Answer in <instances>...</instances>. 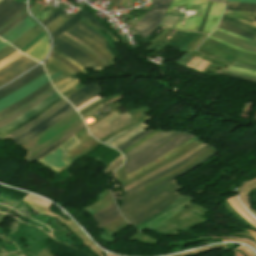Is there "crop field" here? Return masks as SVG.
Returning a JSON list of instances; mask_svg holds the SVG:
<instances>
[{"label":"crop field","instance_id":"19","mask_svg":"<svg viewBox=\"0 0 256 256\" xmlns=\"http://www.w3.org/2000/svg\"><path fill=\"white\" fill-rule=\"evenodd\" d=\"M224 5L211 3L207 18L204 23L203 33L210 34L217 26Z\"/></svg>","mask_w":256,"mask_h":256},{"label":"crop field","instance_id":"2","mask_svg":"<svg viewBox=\"0 0 256 256\" xmlns=\"http://www.w3.org/2000/svg\"><path fill=\"white\" fill-rule=\"evenodd\" d=\"M208 0H173L167 13L182 15L176 29L197 32L207 5Z\"/></svg>","mask_w":256,"mask_h":256},{"label":"crop field","instance_id":"3","mask_svg":"<svg viewBox=\"0 0 256 256\" xmlns=\"http://www.w3.org/2000/svg\"><path fill=\"white\" fill-rule=\"evenodd\" d=\"M211 146L207 145L204 148L200 149L199 151H197L196 153H194L193 155L189 156L188 158L184 159L183 161L179 162L178 164L168 168L167 170L137 184L136 186H134L133 188H131L130 190L125 192V198L123 199L122 205L120 207H118V209L121 211L131 207L132 205L136 204L137 202H139L140 200H142L143 198H145L146 196H148L149 194H151L153 191H155L156 189H158L159 187H161L162 185H164L165 183H167L168 181L183 175L189 171H191L192 169H194L195 167H197L198 165H200L201 163H203L204 161H206L207 159H209L210 157H212L214 154H216L219 151H214L211 154H209L208 156H206L205 158H203L201 161H199L198 163H196L195 165L187 168L186 170L182 171L181 173L173 176L172 178L154 186L153 188L149 189L147 192H145L143 195H139L137 193L136 190L140 189L141 187L145 186L146 184L166 175L167 173L185 165L186 163H188L190 160H192L193 158H195L196 156H198L200 153H202L203 151L207 150L208 148H210Z\"/></svg>","mask_w":256,"mask_h":256},{"label":"crop field","instance_id":"18","mask_svg":"<svg viewBox=\"0 0 256 256\" xmlns=\"http://www.w3.org/2000/svg\"><path fill=\"white\" fill-rule=\"evenodd\" d=\"M35 25L36 24L27 17L0 37L11 44Z\"/></svg>","mask_w":256,"mask_h":256},{"label":"crop field","instance_id":"5","mask_svg":"<svg viewBox=\"0 0 256 256\" xmlns=\"http://www.w3.org/2000/svg\"><path fill=\"white\" fill-rule=\"evenodd\" d=\"M66 32L78 40L86 43L98 54H100L108 63L114 65L112 61L115 57L105 48V39L99 33L85 25L83 22H78Z\"/></svg>","mask_w":256,"mask_h":256},{"label":"crop field","instance_id":"16","mask_svg":"<svg viewBox=\"0 0 256 256\" xmlns=\"http://www.w3.org/2000/svg\"><path fill=\"white\" fill-rule=\"evenodd\" d=\"M55 92L56 91L52 87L49 90H47L45 93L41 94L40 96L36 97L32 101L28 102L24 106L20 107L16 111H14L10 115L0 119V127L6 125V124L10 123L11 121H13L14 119L18 118L19 116H21L22 114H24L25 112H27L28 110H30L31 108H33L34 106H36L37 104H39L40 102H42L43 100H45L46 98H48L50 95H52Z\"/></svg>","mask_w":256,"mask_h":256},{"label":"crop field","instance_id":"33","mask_svg":"<svg viewBox=\"0 0 256 256\" xmlns=\"http://www.w3.org/2000/svg\"><path fill=\"white\" fill-rule=\"evenodd\" d=\"M58 38L62 39L63 41L75 46L77 49L83 51L86 55H88L96 64H98L102 69L106 68L97 58H95L91 53H89L88 51H86L85 49H83L82 47H80L79 45L75 44L74 42H72L71 40L63 37V36H59Z\"/></svg>","mask_w":256,"mask_h":256},{"label":"crop field","instance_id":"34","mask_svg":"<svg viewBox=\"0 0 256 256\" xmlns=\"http://www.w3.org/2000/svg\"><path fill=\"white\" fill-rule=\"evenodd\" d=\"M221 20H223V21H226V22H228V23H230V24H233V25H235V26H238V27H240V28H243V29H246V30H249V31H252V32H255L256 33V28H254V27H252V26H249V25H247V24H244V23H241V22H239V21H236V20H233V19H231V18H228V17H226V16H222V19Z\"/></svg>","mask_w":256,"mask_h":256},{"label":"crop field","instance_id":"30","mask_svg":"<svg viewBox=\"0 0 256 256\" xmlns=\"http://www.w3.org/2000/svg\"><path fill=\"white\" fill-rule=\"evenodd\" d=\"M224 15L231 16V17H233L235 19H238V20H240L242 22H245V23H247L249 25H252V26L256 27V19L245 17V15L255 16L256 17V14L240 12V11H225Z\"/></svg>","mask_w":256,"mask_h":256},{"label":"crop field","instance_id":"10","mask_svg":"<svg viewBox=\"0 0 256 256\" xmlns=\"http://www.w3.org/2000/svg\"><path fill=\"white\" fill-rule=\"evenodd\" d=\"M53 48L57 49L58 51L62 52L63 54L71 57L76 62H78L85 70L91 69L94 72L101 70L99 66H97L92 60L86 57L83 53L79 50L75 49L74 47L70 46L69 44L59 40L58 38L53 41Z\"/></svg>","mask_w":256,"mask_h":256},{"label":"crop field","instance_id":"8","mask_svg":"<svg viewBox=\"0 0 256 256\" xmlns=\"http://www.w3.org/2000/svg\"><path fill=\"white\" fill-rule=\"evenodd\" d=\"M45 69H46V72L49 76L58 72V71H61V72L65 73L69 76H72V75L76 74L68 66L64 65L63 63H61L60 61H58L57 59H55L51 56L49 57V60L45 64ZM79 82H81V81L68 77V78L54 84V86L59 91V93L61 94L65 91L71 89L72 87H74Z\"/></svg>","mask_w":256,"mask_h":256},{"label":"crop field","instance_id":"23","mask_svg":"<svg viewBox=\"0 0 256 256\" xmlns=\"http://www.w3.org/2000/svg\"><path fill=\"white\" fill-rule=\"evenodd\" d=\"M48 49H49V43H48L47 37H45L24 54L41 62L45 58L48 52Z\"/></svg>","mask_w":256,"mask_h":256},{"label":"crop field","instance_id":"41","mask_svg":"<svg viewBox=\"0 0 256 256\" xmlns=\"http://www.w3.org/2000/svg\"><path fill=\"white\" fill-rule=\"evenodd\" d=\"M83 128H85V126L82 127V128H80V129H78L77 131H75L74 133H72L70 136H68L67 138H65L64 140H62L61 142H59V143L55 144L54 146L50 147V148L47 149L45 152H43L42 154H40L39 156H37L35 159H33L31 162H33V161L37 160L38 158H40L41 156L47 154V153H48L49 151H51L53 148H55L56 146H58L59 144H61V143L64 142L66 139H68L69 137H71L72 135H74L75 133H77L78 131H80V130L83 129Z\"/></svg>","mask_w":256,"mask_h":256},{"label":"crop field","instance_id":"25","mask_svg":"<svg viewBox=\"0 0 256 256\" xmlns=\"http://www.w3.org/2000/svg\"><path fill=\"white\" fill-rule=\"evenodd\" d=\"M66 103H68L65 99L63 101H61L59 104H57L55 107H53L51 110H49L48 112H46L44 115H42L41 117H39L38 119H36L35 121H33L32 123L28 124L27 126L21 128L20 130L0 139H6L8 137H10L11 139L14 138L15 136H17L18 134H20L21 132H23L24 130L38 124L39 122H41L42 120H44L45 118H47L48 116H50L52 113H54L56 110H58L60 107H62L63 105H65Z\"/></svg>","mask_w":256,"mask_h":256},{"label":"crop field","instance_id":"31","mask_svg":"<svg viewBox=\"0 0 256 256\" xmlns=\"http://www.w3.org/2000/svg\"><path fill=\"white\" fill-rule=\"evenodd\" d=\"M225 10H241L256 13V4L227 2Z\"/></svg>","mask_w":256,"mask_h":256},{"label":"crop field","instance_id":"1","mask_svg":"<svg viewBox=\"0 0 256 256\" xmlns=\"http://www.w3.org/2000/svg\"><path fill=\"white\" fill-rule=\"evenodd\" d=\"M182 188L183 187L177 185L175 180H173L121 213L125 216L128 222L135 226L164 210L172 202L178 199L181 195L177 194L174 196L173 194Z\"/></svg>","mask_w":256,"mask_h":256},{"label":"crop field","instance_id":"17","mask_svg":"<svg viewBox=\"0 0 256 256\" xmlns=\"http://www.w3.org/2000/svg\"><path fill=\"white\" fill-rule=\"evenodd\" d=\"M86 18L89 21H91L92 23H94L95 25H97L99 28H101L102 30H104L107 34L108 31L105 27H103L92 15H90L89 13H87L85 10H81L79 11L75 16H73L70 20H68L65 24H63L59 29H57L54 33L51 34L52 36V40L54 38H56L57 36H59L61 33H63L65 30H67L69 27H71L75 22H77L80 18ZM110 35V34H109ZM115 41H118L115 37H113L112 35H110Z\"/></svg>","mask_w":256,"mask_h":256},{"label":"crop field","instance_id":"42","mask_svg":"<svg viewBox=\"0 0 256 256\" xmlns=\"http://www.w3.org/2000/svg\"><path fill=\"white\" fill-rule=\"evenodd\" d=\"M17 50H15L13 47L9 46L3 50L0 51V61L2 59H4L5 57L9 56L10 54H12L13 52H15Z\"/></svg>","mask_w":256,"mask_h":256},{"label":"crop field","instance_id":"36","mask_svg":"<svg viewBox=\"0 0 256 256\" xmlns=\"http://www.w3.org/2000/svg\"><path fill=\"white\" fill-rule=\"evenodd\" d=\"M151 131H153V130H148L147 132H145V131H143V132H141L140 134H138L137 136H135V137H133L132 139H130L129 141H127L126 143H124L123 145H121V146H119L118 148H116V149H118V150H123V149H125L126 147H128L129 145H131V144H133V143H135L136 141H138V140H140L141 138H143L144 136H146L148 133H150Z\"/></svg>","mask_w":256,"mask_h":256},{"label":"crop field","instance_id":"9","mask_svg":"<svg viewBox=\"0 0 256 256\" xmlns=\"http://www.w3.org/2000/svg\"><path fill=\"white\" fill-rule=\"evenodd\" d=\"M36 64L37 62L27 58L24 55L19 57L15 61L0 69V86L16 78Z\"/></svg>","mask_w":256,"mask_h":256},{"label":"crop field","instance_id":"14","mask_svg":"<svg viewBox=\"0 0 256 256\" xmlns=\"http://www.w3.org/2000/svg\"><path fill=\"white\" fill-rule=\"evenodd\" d=\"M101 89L102 88L100 85L94 83L77 90L76 92L70 94L65 98H67L76 108L81 104L87 102L88 100L92 99L96 95L102 94L103 92Z\"/></svg>","mask_w":256,"mask_h":256},{"label":"crop field","instance_id":"22","mask_svg":"<svg viewBox=\"0 0 256 256\" xmlns=\"http://www.w3.org/2000/svg\"><path fill=\"white\" fill-rule=\"evenodd\" d=\"M51 87L50 82L46 83L45 85H43L42 87L38 88L37 90H35L34 92H32L31 94H29L27 97H25L24 99L12 104L11 106L3 109L2 111H0V118L10 114L11 112H13L14 110H16L17 108H19L20 106H22L23 104L27 103L28 101L32 100L33 98H35L36 96L40 95L41 93L45 92L47 89H49ZM24 106V105H23Z\"/></svg>","mask_w":256,"mask_h":256},{"label":"crop field","instance_id":"20","mask_svg":"<svg viewBox=\"0 0 256 256\" xmlns=\"http://www.w3.org/2000/svg\"><path fill=\"white\" fill-rule=\"evenodd\" d=\"M25 8L24 2L21 4L14 3L11 0H4L0 3V25L18 14Z\"/></svg>","mask_w":256,"mask_h":256},{"label":"crop field","instance_id":"51","mask_svg":"<svg viewBox=\"0 0 256 256\" xmlns=\"http://www.w3.org/2000/svg\"><path fill=\"white\" fill-rule=\"evenodd\" d=\"M25 10H23L22 12H20L18 15H16L15 17H13L12 19H10L9 21H7L5 24H3L2 26H0V30L2 28H4L6 25H8L10 22H12L14 19H16L18 16H20Z\"/></svg>","mask_w":256,"mask_h":256},{"label":"crop field","instance_id":"59","mask_svg":"<svg viewBox=\"0 0 256 256\" xmlns=\"http://www.w3.org/2000/svg\"><path fill=\"white\" fill-rule=\"evenodd\" d=\"M116 2H117V3H119V2H120V0H117Z\"/></svg>","mask_w":256,"mask_h":256},{"label":"crop field","instance_id":"11","mask_svg":"<svg viewBox=\"0 0 256 256\" xmlns=\"http://www.w3.org/2000/svg\"><path fill=\"white\" fill-rule=\"evenodd\" d=\"M47 81H49V79L47 78L46 74L44 73L41 76H39L38 78H36L34 81L29 83L28 85L13 92L12 94L0 99V110L11 105L12 103L24 98L29 93H31L32 91H34L35 89H37L38 87H40L41 85L46 83Z\"/></svg>","mask_w":256,"mask_h":256},{"label":"crop field","instance_id":"49","mask_svg":"<svg viewBox=\"0 0 256 256\" xmlns=\"http://www.w3.org/2000/svg\"><path fill=\"white\" fill-rule=\"evenodd\" d=\"M42 73H44V71H42V72L38 73L36 76H34V77H33V78H31L30 80H28L26 83H24V84H23V85H21L20 87H18V88H16V89H14V90H12V91H10V92H8V93L4 94V95H3V96H1L0 98H2V97H4V96H6V95H8V94L12 93L13 91H15V90H17V89L21 88V87H22V86H24L25 84L29 83L30 81H32L33 79H35L36 77H38L39 75H41Z\"/></svg>","mask_w":256,"mask_h":256},{"label":"crop field","instance_id":"40","mask_svg":"<svg viewBox=\"0 0 256 256\" xmlns=\"http://www.w3.org/2000/svg\"><path fill=\"white\" fill-rule=\"evenodd\" d=\"M25 17H27L26 13L22 14L20 17H18L16 20H14L12 23H10L8 26H6L4 29L0 31V35H2L4 32L12 28L14 25L19 23L21 20H23Z\"/></svg>","mask_w":256,"mask_h":256},{"label":"crop field","instance_id":"54","mask_svg":"<svg viewBox=\"0 0 256 256\" xmlns=\"http://www.w3.org/2000/svg\"><path fill=\"white\" fill-rule=\"evenodd\" d=\"M9 45H7L5 42H3L1 39H0V50L7 47Z\"/></svg>","mask_w":256,"mask_h":256},{"label":"crop field","instance_id":"47","mask_svg":"<svg viewBox=\"0 0 256 256\" xmlns=\"http://www.w3.org/2000/svg\"><path fill=\"white\" fill-rule=\"evenodd\" d=\"M52 50L55 51V52H57V53H59V54H60L59 56L63 57L64 59H66V60H68V61H70L71 63L75 64V65H76L81 71H83L84 73H87V72H85V70H84L78 63H76V62H75L74 60H72L71 58H69V57L63 55L62 53H60V52H58V51H56V50H54V49H52Z\"/></svg>","mask_w":256,"mask_h":256},{"label":"crop field","instance_id":"55","mask_svg":"<svg viewBox=\"0 0 256 256\" xmlns=\"http://www.w3.org/2000/svg\"><path fill=\"white\" fill-rule=\"evenodd\" d=\"M233 65H237V66H241V67H245V68H249V69H254V70H256L255 67L245 66V65H241V64H237V63H233Z\"/></svg>","mask_w":256,"mask_h":256},{"label":"crop field","instance_id":"38","mask_svg":"<svg viewBox=\"0 0 256 256\" xmlns=\"http://www.w3.org/2000/svg\"><path fill=\"white\" fill-rule=\"evenodd\" d=\"M162 129L157 128L155 129L153 132H151L149 135H147L146 137H144L143 139H141L140 141H138L137 143L131 145L130 147H128L127 149L121 151L123 154L128 152L129 150L135 148L136 146H138L139 144L143 143L144 141H146L147 139H149L150 137H152L153 135L157 134L158 132H160Z\"/></svg>","mask_w":256,"mask_h":256},{"label":"crop field","instance_id":"7","mask_svg":"<svg viewBox=\"0 0 256 256\" xmlns=\"http://www.w3.org/2000/svg\"><path fill=\"white\" fill-rule=\"evenodd\" d=\"M75 111L72 106L68 103L62 108H60L58 111H56L54 114H52L50 117L39 123L38 125L34 126L33 128L29 129L28 131L22 133L21 135L17 136L16 138L12 139L16 143V145L20 146L27 142L28 140L32 139L42 131L46 130L68 114Z\"/></svg>","mask_w":256,"mask_h":256},{"label":"crop field","instance_id":"52","mask_svg":"<svg viewBox=\"0 0 256 256\" xmlns=\"http://www.w3.org/2000/svg\"><path fill=\"white\" fill-rule=\"evenodd\" d=\"M228 68H229V69L238 70V71H243V72H248V73L256 74V72H255V71L244 70V69L235 68V67H231V66H229Z\"/></svg>","mask_w":256,"mask_h":256},{"label":"crop field","instance_id":"15","mask_svg":"<svg viewBox=\"0 0 256 256\" xmlns=\"http://www.w3.org/2000/svg\"><path fill=\"white\" fill-rule=\"evenodd\" d=\"M151 118L152 117H150V116L144 118L142 122L137 123L136 125L128 128L127 130L117 134L116 136L110 138L109 140H107L103 143L110 145L114 148L118 147L119 145L126 142L127 140H129L130 138L135 136L136 134L143 131L146 127H148L144 122Z\"/></svg>","mask_w":256,"mask_h":256},{"label":"crop field","instance_id":"6","mask_svg":"<svg viewBox=\"0 0 256 256\" xmlns=\"http://www.w3.org/2000/svg\"><path fill=\"white\" fill-rule=\"evenodd\" d=\"M172 0H153V8L147 12L140 23L134 28L140 36L146 35L150 30L151 32L145 37L153 33L158 27L164 13L166 12Z\"/></svg>","mask_w":256,"mask_h":256},{"label":"crop field","instance_id":"21","mask_svg":"<svg viewBox=\"0 0 256 256\" xmlns=\"http://www.w3.org/2000/svg\"><path fill=\"white\" fill-rule=\"evenodd\" d=\"M92 216L97 221L98 225H96L95 227L99 230L103 226L110 223L111 221H113L114 219L118 218L121 215L117 211L115 204H112V205L100 210L99 212L95 213Z\"/></svg>","mask_w":256,"mask_h":256},{"label":"crop field","instance_id":"43","mask_svg":"<svg viewBox=\"0 0 256 256\" xmlns=\"http://www.w3.org/2000/svg\"><path fill=\"white\" fill-rule=\"evenodd\" d=\"M51 56L57 58L58 60H60L61 62L65 63V64H67L70 68H72L77 73H82L75 65H73L70 62L64 60L63 58L59 57L58 55H56L54 53H51Z\"/></svg>","mask_w":256,"mask_h":256},{"label":"crop field","instance_id":"24","mask_svg":"<svg viewBox=\"0 0 256 256\" xmlns=\"http://www.w3.org/2000/svg\"><path fill=\"white\" fill-rule=\"evenodd\" d=\"M173 132H160L157 135L153 136L140 146L136 147L135 149L131 150L130 152L124 154L125 160L129 159L130 157L134 156L135 154L139 153L140 151L144 150L145 148L149 147L150 145L156 143L157 141L161 140L162 138L166 137L167 135ZM146 150V149H145ZM141 153V152H140Z\"/></svg>","mask_w":256,"mask_h":256},{"label":"crop field","instance_id":"26","mask_svg":"<svg viewBox=\"0 0 256 256\" xmlns=\"http://www.w3.org/2000/svg\"><path fill=\"white\" fill-rule=\"evenodd\" d=\"M230 205L239 213L241 214L245 219H247L251 224H256V219H254L239 203L237 197H231L227 199ZM255 226V225H254ZM256 227V226H255ZM252 236L256 239V232L249 231Z\"/></svg>","mask_w":256,"mask_h":256},{"label":"crop field","instance_id":"12","mask_svg":"<svg viewBox=\"0 0 256 256\" xmlns=\"http://www.w3.org/2000/svg\"><path fill=\"white\" fill-rule=\"evenodd\" d=\"M68 154L65 148L61 145L56 147L50 153L42 157L41 159L37 160L38 162L42 163L48 169H50L55 174L70 165L63 156ZM41 164V165H42Z\"/></svg>","mask_w":256,"mask_h":256},{"label":"crop field","instance_id":"29","mask_svg":"<svg viewBox=\"0 0 256 256\" xmlns=\"http://www.w3.org/2000/svg\"><path fill=\"white\" fill-rule=\"evenodd\" d=\"M42 31H43V29H41L40 26L36 25L28 33H26L24 36H22L20 39H18L17 41H15L11 45H13V46H15V47L20 49L24 45H26L29 41H31L34 37H36Z\"/></svg>","mask_w":256,"mask_h":256},{"label":"crop field","instance_id":"48","mask_svg":"<svg viewBox=\"0 0 256 256\" xmlns=\"http://www.w3.org/2000/svg\"><path fill=\"white\" fill-rule=\"evenodd\" d=\"M100 99H102V98L98 96V97H96V98H94V99L88 101L87 103L81 105L80 107H78V108H76V109H77V111L79 112V111H81L82 109H84L85 107H87L88 105H90V104H92V103H94V102H96V101H98V100H100Z\"/></svg>","mask_w":256,"mask_h":256},{"label":"crop field","instance_id":"53","mask_svg":"<svg viewBox=\"0 0 256 256\" xmlns=\"http://www.w3.org/2000/svg\"><path fill=\"white\" fill-rule=\"evenodd\" d=\"M229 1L256 3V0H229Z\"/></svg>","mask_w":256,"mask_h":256},{"label":"crop field","instance_id":"39","mask_svg":"<svg viewBox=\"0 0 256 256\" xmlns=\"http://www.w3.org/2000/svg\"><path fill=\"white\" fill-rule=\"evenodd\" d=\"M64 11V9L62 8H58L53 14H51L49 17H47L44 21H42L41 23L43 24V26L45 27L48 23H50L55 17H57L60 13H62Z\"/></svg>","mask_w":256,"mask_h":256},{"label":"crop field","instance_id":"57","mask_svg":"<svg viewBox=\"0 0 256 256\" xmlns=\"http://www.w3.org/2000/svg\"><path fill=\"white\" fill-rule=\"evenodd\" d=\"M61 74H62V73L59 72V73H57V74H55V75H53V76H51V77H49V78H50V80H51V79H53V78H55V77H57V76H59V75H61Z\"/></svg>","mask_w":256,"mask_h":256},{"label":"crop field","instance_id":"46","mask_svg":"<svg viewBox=\"0 0 256 256\" xmlns=\"http://www.w3.org/2000/svg\"><path fill=\"white\" fill-rule=\"evenodd\" d=\"M83 125H84V124H83ZM83 125H81V126H83ZM81 126H80V127H81ZM80 127H78V128H80ZM78 128H76L75 130H77ZM75 130H73V131H71L70 133L66 134L65 136L61 137L59 140H57V141L54 142L53 144H55V143L61 141L62 139H64V138L67 137L68 135H70V134H71L72 132H74ZM53 144H51L50 146H52ZM50 146H48L47 148H49ZM53 146H54V145H53ZM47 148H45L44 150H46ZM44 150H42L41 152H39V153H37L36 155L32 156L31 158L27 159L28 162H29L30 160H32L33 158H35V157H36L37 155H39L40 153H42Z\"/></svg>","mask_w":256,"mask_h":256},{"label":"crop field","instance_id":"37","mask_svg":"<svg viewBox=\"0 0 256 256\" xmlns=\"http://www.w3.org/2000/svg\"><path fill=\"white\" fill-rule=\"evenodd\" d=\"M62 144L64 145V147L69 152V151H71L72 149H74L76 146H78L81 143L79 142V140L74 135V136H72L71 138H69L67 141H65Z\"/></svg>","mask_w":256,"mask_h":256},{"label":"crop field","instance_id":"35","mask_svg":"<svg viewBox=\"0 0 256 256\" xmlns=\"http://www.w3.org/2000/svg\"><path fill=\"white\" fill-rule=\"evenodd\" d=\"M68 19H70V18L62 15L58 19H56L54 22H52L49 26H47L46 28L49 30V32L51 34L57 28H59L63 23H65Z\"/></svg>","mask_w":256,"mask_h":256},{"label":"crop field","instance_id":"32","mask_svg":"<svg viewBox=\"0 0 256 256\" xmlns=\"http://www.w3.org/2000/svg\"><path fill=\"white\" fill-rule=\"evenodd\" d=\"M219 28H222V29H225L229 32H232V33H235L237 35H240V36H243V37H246L248 39H253L255 37V35L249 33V32H246V31H243V30H240L232 25H229L227 23H224L221 21L220 25H219Z\"/></svg>","mask_w":256,"mask_h":256},{"label":"crop field","instance_id":"27","mask_svg":"<svg viewBox=\"0 0 256 256\" xmlns=\"http://www.w3.org/2000/svg\"><path fill=\"white\" fill-rule=\"evenodd\" d=\"M43 68L42 66H38L35 69H33L31 72H27L28 74L22 76L21 78L17 79L16 81H14L13 83H11L10 85L0 89V96L8 91H10L11 89L23 84L25 81H27L28 79H30L31 77H33L35 74H37L38 72L42 71Z\"/></svg>","mask_w":256,"mask_h":256},{"label":"crop field","instance_id":"58","mask_svg":"<svg viewBox=\"0 0 256 256\" xmlns=\"http://www.w3.org/2000/svg\"><path fill=\"white\" fill-rule=\"evenodd\" d=\"M213 1L225 3L227 0H213Z\"/></svg>","mask_w":256,"mask_h":256},{"label":"crop field","instance_id":"13","mask_svg":"<svg viewBox=\"0 0 256 256\" xmlns=\"http://www.w3.org/2000/svg\"><path fill=\"white\" fill-rule=\"evenodd\" d=\"M135 122V120L127 113L117 116L110 121L104 123L100 127L90 131L91 134L98 140L105 137L106 135Z\"/></svg>","mask_w":256,"mask_h":256},{"label":"crop field","instance_id":"4","mask_svg":"<svg viewBox=\"0 0 256 256\" xmlns=\"http://www.w3.org/2000/svg\"><path fill=\"white\" fill-rule=\"evenodd\" d=\"M177 133H173L168 137L162 139L161 141L157 142L156 144L152 145L151 147L147 148L146 150L142 151L141 153L135 155L134 157L130 158L129 160L125 161L122 168L126 172V174L154 161L155 159L159 158L163 154L167 153L171 149L175 148L179 144L191 139L193 136L188 135L184 132L179 133L175 137H173L170 141H168L165 145L161 146L154 152H152L155 148H157L160 144L164 141L168 140L172 136ZM152 152V153H151Z\"/></svg>","mask_w":256,"mask_h":256},{"label":"crop field","instance_id":"56","mask_svg":"<svg viewBox=\"0 0 256 256\" xmlns=\"http://www.w3.org/2000/svg\"><path fill=\"white\" fill-rule=\"evenodd\" d=\"M210 3H211V2H209V5H208V8H207V11H206L205 17H206V15H207V12H208V9H209V6H210ZM205 17H204V20H205ZM204 20H203V23H204ZM203 23H202V25H201V27H200V29H199V31H198V32H201V31H202Z\"/></svg>","mask_w":256,"mask_h":256},{"label":"crop field","instance_id":"45","mask_svg":"<svg viewBox=\"0 0 256 256\" xmlns=\"http://www.w3.org/2000/svg\"><path fill=\"white\" fill-rule=\"evenodd\" d=\"M217 75H222V76H228V77H233V78H238V79H243V80H247V81H251V82H255V79H251V78H246V77H240V76H235V75H231V74H226V73H222V72H218L216 73Z\"/></svg>","mask_w":256,"mask_h":256},{"label":"crop field","instance_id":"50","mask_svg":"<svg viewBox=\"0 0 256 256\" xmlns=\"http://www.w3.org/2000/svg\"><path fill=\"white\" fill-rule=\"evenodd\" d=\"M217 30H219V31H221V32H223V33L229 34V35H231V36L237 37V38H239V39H241V40H245V41H249V42L251 41V40H248V39H246V38H243V37L237 36V35H235V34L229 33V32H227V31L222 30V29H219V28H217Z\"/></svg>","mask_w":256,"mask_h":256},{"label":"crop field","instance_id":"60","mask_svg":"<svg viewBox=\"0 0 256 256\" xmlns=\"http://www.w3.org/2000/svg\"><path fill=\"white\" fill-rule=\"evenodd\" d=\"M112 2H115V0H112Z\"/></svg>","mask_w":256,"mask_h":256},{"label":"crop field","instance_id":"28","mask_svg":"<svg viewBox=\"0 0 256 256\" xmlns=\"http://www.w3.org/2000/svg\"><path fill=\"white\" fill-rule=\"evenodd\" d=\"M63 98H58L57 100H55L53 103H51L50 105H48L47 107H45L44 109H42L41 111H39L38 113H36L35 115H33L32 117H30L28 120H26L24 123L0 134V138L5 136V135H8L18 129H20L21 127L25 126L26 124L32 122L33 120H35L36 118H38L39 116H41L42 114H44L46 111H48L50 108H52L54 105H56L58 102H60Z\"/></svg>","mask_w":256,"mask_h":256},{"label":"crop field","instance_id":"44","mask_svg":"<svg viewBox=\"0 0 256 256\" xmlns=\"http://www.w3.org/2000/svg\"><path fill=\"white\" fill-rule=\"evenodd\" d=\"M209 38H211V39H213V40H215V41H218V42H220V43H222V44H225V45H227V46H229V47L235 48V49H237V50L244 51V52H248V53H252V54H256V53L249 52V51H246V50H244V49H241V48H239V47H236V46H234V45H232V44H229V43H227V42H225V41H223V40H221V39H218V38H216V37H213V36H211V35H209Z\"/></svg>","mask_w":256,"mask_h":256}]
</instances>
